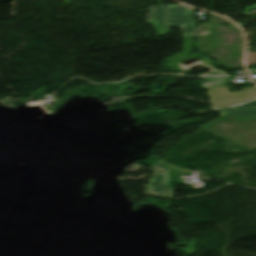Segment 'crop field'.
<instances>
[{"instance_id": "2", "label": "crop field", "mask_w": 256, "mask_h": 256, "mask_svg": "<svg viewBox=\"0 0 256 256\" xmlns=\"http://www.w3.org/2000/svg\"><path fill=\"white\" fill-rule=\"evenodd\" d=\"M207 95L210 97L209 103L217 108H222L256 99V87L243 88L239 92L230 93L227 86H217L208 88Z\"/></svg>"}, {"instance_id": "1", "label": "crop field", "mask_w": 256, "mask_h": 256, "mask_svg": "<svg viewBox=\"0 0 256 256\" xmlns=\"http://www.w3.org/2000/svg\"><path fill=\"white\" fill-rule=\"evenodd\" d=\"M147 23H152L157 34L169 33L167 27L184 26V37L195 35L193 10L182 5L149 7Z\"/></svg>"}, {"instance_id": "4", "label": "crop field", "mask_w": 256, "mask_h": 256, "mask_svg": "<svg viewBox=\"0 0 256 256\" xmlns=\"http://www.w3.org/2000/svg\"><path fill=\"white\" fill-rule=\"evenodd\" d=\"M220 115L256 114V102L219 111Z\"/></svg>"}, {"instance_id": "3", "label": "crop field", "mask_w": 256, "mask_h": 256, "mask_svg": "<svg viewBox=\"0 0 256 256\" xmlns=\"http://www.w3.org/2000/svg\"><path fill=\"white\" fill-rule=\"evenodd\" d=\"M157 166L159 169L156 168ZM153 167L155 175L149 179V184L146 186V193L163 194L172 197L173 187L168 186L169 167L162 160H159V163Z\"/></svg>"}]
</instances>
